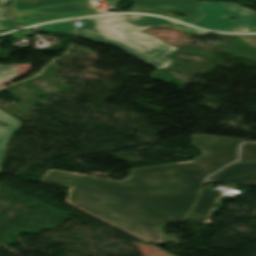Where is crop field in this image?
Returning a JSON list of instances; mask_svg holds the SVG:
<instances>
[{"instance_id": "22f410ed", "label": "crop field", "mask_w": 256, "mask_h": 256, "mask_svg": "<svg viewBox=\"0 0 256 256\" xmlns=\"http://www.w3.org/2000/svg\"><path fill=\"white\" fill-rule=\"evenodd\" d=\"M240 39L256 47V36H239Z\"/></svg>"}, {"instance_id": "5a996713", "label": "crop field", "mask_w": 256, "mask_h": 256, "mask_svg": "<svg viewBox=\"0 0 256 256\" xmlns=\"http://www.w3.org/2000/svg\"><path fill=\"white\" fill-rule=\"evenodd\" d=\"M221 196L218 192L204 186L201 194L196 200L192 211L186 220L204 223L215 200Z\"/></svg>"}, {"instance_id": "f4fd0767", "label": "crop field", "mask_w": 256, "mask_h": 256, "mask_svg": "<svg viewBox=\"0 0 256 256\" xmlns=\"http://www.w3.org/2000/svg\"><path fill=\"white\" fill-rule=\"evenodd\" d=\"M240 141L244 140L209 135H194L193 144L203 151V155L195 159L210 175L225 164L236 161Z\"/></svg>"}, {"instance_id": "d1516ede", "label": "crop field", "mask_w": 256, "mask_h": 256, "mask_svg": "<svg viewBox=\"0 0 256 256\" xmlns=\"http://www.w3.org/2000/svg\"><path fill=\"white\" fill-rule=\"evenodd\" d=\"M256 160V143L242 145L240 162Z\"/></svg>"}, {"instance_id": "34b2d1b8", "label": "crop field", "mask_w": 256, "mask_h": 256, "mask_svg": "<svg viewBox=\"0 0 256 256\" xmlns=\"http://www.w3.org/2000/svg\"><path fill=\"white\" fill-rule=\"evenodd\" d=\"M96 0H15L12 14L23 26L93 14ZM116 3L119 0H106Z\"/></svg>"}, {"instance_id": "d8731c3e", "label": "crop field", "mask_w": 256, "mask_h": 256, "mask_svg": "<svg viewBox=\"0 0 256 256\" xmlns=\"http://www.w3.org/2000/svg\"><path fill=\"white\" fill-rule=\"evenodd\" d=\"M15 67L0 66V82L16 75ZM0 121L9 124V127L0 126V166H2L6 146L10 137L20 128L19 120L0 110Z\"/></svg>"}, {"instance_id": "3316defc", "label": "crop field", "mask_w": 256, "mask_h": 256, "mask_svg": "<svg viewBox=\"0 0 256 256\" xmlns=\"http://www.w3.org/2000/svg\"><path fill=\"white\" fill-rule=\"evenodd\" d=\"M11 0H0V31L2 29H17L20 26L16 21L9 15Z\"/></svg>"}, {"instance_id": "e52e79f7", "label": "crop field", "mask_w": 256, "mask_h": 256, "mask_svg": "<svg viewBox=\"0 0 256 256\" xmlns=\"http://www.w3.org/2000/svg\"><path fill=\"white\" fill-rule=\"evenodd\" d=\"M210 182L224 185H256V162L232 164L211 177Z\"/></svg>"}, {"instance_id": "ac0d7876", "label": "crop field", "mask_w": 256, "mask_h": 256, "mask_svg": "<svg viewBox=\"0 0 256 256\" xmlns=\"http://www.w3.org/2000/svg\"><path fill=\"white\" fill-rule=\"evenodd\" d=\"M149 26H171L180 31L203 33L170 20L151 16L112 15L86 19L83 26L77 28V35L113 45L159 69H165L173 61L164 56L177 48L140 32Z\"/></svg>"}, {"instance_id": "412701ff", "label": "crop field", "mask_w": 256, "mask_h": 256, "mask_svg": "<svg viewBox=\"0 0 256 256\" xmlns=\"http://www.w3.org/2000/svg\"><path fill=\"white\" fill-rule=\"evenodd\" d=\"M199 10L200 18L194 26L228 32L256 31V11L235 3L200 2Z\"/></svg>"}, {"instance_id": "cbeb9de0", "label": "crop field", "mask_w": 256, "mask_h": 256, "mask_svg": "<svg viewBox=\"0 0 256 256\" xmlns=\"http://www.w3.org/2000/svg\"><path fill=\"white\" fill-rule=\"evenodd\" d=\"M11 80H12V78L9 79V80H7V81H5V82L0 83V87L4 86L6 83L10 82ZM4 87H5V86H4Z\"/></svg>"}, {"instance_id": "8a807250", "label": "crop field", "mask_w": 256, "mask_h": 256, "mask_svg": "<svg viewBox=\"0 0 256 256\" xmlns=\"http://www.w3.org/2000/svg\"><path fill=\"white\" fill-rule=\"evenodd\" d=\"M208 174L197 162L133 170L114 182L51 171L43 181L74 187L69 202L144 239L163 240L157 225L185 220Z\"/></svg>"}, {"instance_id": "28ad6ade", "label": "crop field", "mask_w": 256, "mask_h": 256, "mask_svg": "<svg viewBox=\"0 0 256 256\" xmlns=\"http://www.w3.org/2000/svg\"><path fill=\"white\" fill-rule=\"evenodd\" d=\"M41 32L74 34V21H65L38 28Z\"/></svg>"}, {"instance_id": "dd49c442", "label": "crop field", "mask_w": 256, "mask_h": 256, "mask_svg": "<svg viewBox=\"0 0 256 256\" xmlns=\"http://www.w3.org/2000/svg\"><path fill=\"white\" fill-rule=\"evenodd\" d=\"M135 5L131 11L145 12L169 16L179 21L191 24L199 17L198 2L196 0H134ZM172 13H185L181 18Z\"/></svg>"}, {"instance_id": "5142ce71", "label": "crop field", "mask_w": 256, "mask_h": 256, "mask_svg": "<svg viewBox=\"0 0 256 256\" xmlns=\"http://www.w3.org/2000/svg\"><path fill=\"white\" fill-rule=\"evenodd\" d=\"M0 170H1V167H0Z\"/></svg>"}]
</instances>
